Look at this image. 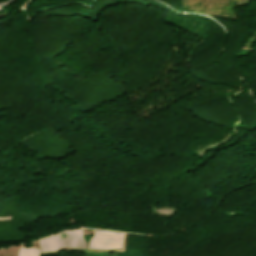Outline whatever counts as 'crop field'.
Returning a JSON list of instances; mask_svg holds the SVG:
<instances>
[{"label": "crop field", "instance_id": "3", "mask_svg": "<svg viewBox=\"0 0 256 256\" xmlns=\"http://www.w3.org/2000/svg\"><path fill=\"white\" fill-rule=\"evenodd\" d=\"M123 234L107 232V231H95V234L91 240L89 248H118L121 247Z\"/></svg>", "mask_w": 256, "mask_h": 256}, {"label": "crop field", "instance_id": "2", "mask_svg": "<svg viewBox=\"0 0 256 256\" xmlns=\"http://www.w3.org/2000/svg\"><path fill=\"white\" fill-rule=\"evenodd\" d=\"M68 236L61 241L60 233L46 238L39 239L41 251L57 250L60 247H78L84 248L81 229H71L65 231Z\"/></svg>", "mask_w": 256, "mask_h": 256}, {"label": "crop field", "instance_id": "1", "mask_svg": "<svg viewBox=\"0 0 256 256\" xmlns=\"http://www.w3.org/2000/svg\"><path fill=\"white\" fill-rule=\"evenodd\" d=\"M181 7L201 13L234 17V0H181Z\"/></svg>", "mask_w": 256, "mask_h": 256}, {"label": "crop field", "instance_id": "4", "mask_svg": "<svg viewBox=\"0 0 256 256\" xmlns=\"http://www.w3.org/2000/svg\"><path fill=\"white\" fill-rule=\"evenodd\" d=\"M18 256H40V251L36 248L25 249L24 247H22L18 253Z\"/></svg>", "mask_w": 256, "mask_h": 256}]
</instances>
